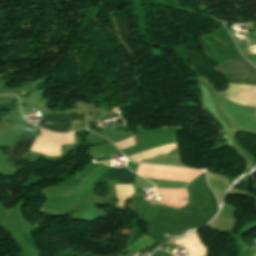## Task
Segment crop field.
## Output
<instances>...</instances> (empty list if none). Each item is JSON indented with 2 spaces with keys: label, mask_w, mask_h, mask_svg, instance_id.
Instances as JSON below:
<instances>
[{
  "label": "crop field",
  "mask_w": 256,
  "mask_h": 256,
  "mask_svg": "<svg viewBox=\"0 0 256 256\" xmlns=\"http://www.w3.org/2000/svg\"><path fill=\"white\" fill-rule=\"evenodd\" d=\"M217 72L223 75L238 74L246 72H255L256 68L243 58L228 61L217 68H214ZM229 84L237 85H255L256 86V72L246 73L238 75L225 76ZM256 107V106H254Z\"/></svg>",
  "instance_id": "obj_1"
},
{
  "label": "crop field",
  "mask_w": 256,
  "mask_h": 256,
  "mask_svg": "<svg viewBox=\"0 0 256 256\" xmlns=\"http://www.w3.org/2000/svg\"><path fill=\"white\" fill-rule=\"evenodd\" d=\"M43 119L48 122H54V126L44 124L43 128L50 129L56 132H65L69 129L71 120L78 119L77 113L44 115Z\"/></svg>",
  "instance_id": "obj_2"
},
{
  "label": "crop field",
  "mask_w": 256,
  "mask_h": 256,
  "mask_svg": "<svg viewBox=\"0 0 256 256\" xmlns=\"http://www.w3.org/2000/svg\"><path fill=\"white\" fill-rule=\"evenodd\" d=\"M129 171L126 168L110 169L97 178L92 187L98 185L103 180H120L119 183H131L134 174Z\"/></svg>",
  "instance_id": "obj_3"
},
{
  "label": "crop field",
  "mask_w": 256,
  "mask_h": 256,
  "mask_svg": "<svg viewBox=\"0 0 256 256\" xmlns=\"http://www.w3.org/2000/svg\"><path fill=\"white\" fill-rule=\"evenodd\" d=\"M33 141L34 139L21 138L9 155L8 160L12 162L20 161L22 154L29 151Z\"/></svg>",
  "instance_id": "obj_4"
},
{
  "label": "crop field",
  "mask_w": 256,
  "mask_h": 256,
  "mask_svg": "<svg viewBox=\"0 0 256 256\" xmlns=\"http://www.w3.org/2000/svg\"><path fill=\"white\" fill-rule=\"evenodd\" d=\"M134 184L136 185V182H134ZM136 188V187H135Z\"/></svg>",
  "instance_id": "obj_5"
},
{
  "label": "crop field",
  "mask_w": 256,
  "mask_h": 256,
  "mask_svg": "<svg viewBox=\"0 0 256 256\" xmlns=\"http://www.w3.org/2000/svg\"><path fill=\"white\" fill-rule=\"evenodd\" d=\"M100 157H102V156H100ZM97 158H99V157H97Z\"/></svg>",
  "instance_id": "obj_6"
},
{
  "label": "crop field",
  "mask_w": 256,
  "mask_h": 256,
  "mask_svg": "<svg viewBox=\"0 0 256 256\" xmlns=\"http://www.w3.org/2000/svg\"><path fill=\"white\" fill-rule=\"evenodd\" d=\"M134 255V254H133Z\"/></svg>",
  "instance_id": "obj_7"
}]
</instances>
